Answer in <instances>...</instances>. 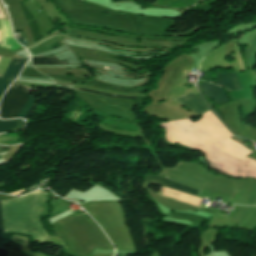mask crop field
Returning a JSON list of instances; mask_svg holds the SVG:
<instances>
[{"mask_svg":"<svg viewBox=\"0 0 256 256\" xmlns=\"http://www.w3.org/2000/svg\"><path fill=\"white\" fill-rule=\"evenodd\" d=\"M248 45L249 47L245 49V61L248 68H251L256 64V35Z\"/></svg>","mask_w":256,"mask_h":256,"instance_id":"8","label":"crop field"},{"mask_svg":"<svg viewBox=\"0 0 256 256\" xmlns=\"http://www.w3.org/2000/svg\"><path fill=\"white\" fill-rule=\"evenodd\" d=\"M216 72L217 78H215L217 85L223 86L229 90L242 89L235 72L221 73L218 70H216Z\"/></svg>","mask_w":256,"mask_h":256,"instance_id":"4","label":"crop field"},{"mask_svg":"<svg viewBox=\"0 0 256 256\" xmlns=\"http://www.w3.org/2000/svg\"><path fill=\"white\" fill-rule=\"evenodd\" d=\"M33 65H60L67 64L66 60L58 61L56 56L32 58Z\"/></svg>","mask_w":256,"mask_h":256,"instance_id":"9","label":"crop field"},{"mask_svg":"<svg viewBox=\"0 0 256 256\" xmlns=\"http://www.w3.org/2000/svg\"><path fill=\"white\" fill-rule=\"evenodd\" d=\"M16 62H18L19 64L15 65ZM26 62L27 60L13 58L5 74L2 78H0V97L3 95L6 88L11 84V82L20 74L22 66Z\"/></svg>","mask_w":256,"mask_h":256,"instance_id":"3","label":"crop field"},{"mask_svg":"<svg viewBox=\"0 0 256 256\" xmlns=\"http://www.w3.org/2000/svg\"><path fill=\"white\" fill-rule=\"evenodd\" d=\"M24 121L19 119L0 120V132L19 131L23 128Z\"/></svg>","mask_w":256,"mask_h":256,"instance_id":"7","label":"crop field"},{"mask_svg":"<svg viewBox=\"0 0 256 256\" xmlns=\"http://www.w3.org/2000/svg\"><path fill=\"white\" fill-rule=\"evenodd\" d=\"M0 16H1V18H4V16H3L1 10H0ZM1 33H2V32H0V36H1Z\"/></svg>","mask_w":256,"mask_h":256,"instance_id":"13","label":"crop field"},{"mask_svg":"<svg viewBox=\"0 0 256 256\" xmlns=\"http://www.w3.org/2000/svg\"><path fill=\"white\" fill-rule=\"evenodd\" d=\"M146 181L154 182V183L163 185L165 187L172 188V189H175L184 193H188L194 196H196V194L198 193V190L180 185L178 183H175L157 176H147Z\"/></svg>","mask_w":256,"mask_h":256,"instance_id":"5","label":"crop field"},{"mask_svg":"<svg viewBox=\"0 0 256 256\" xmlns=\"http://www.w3.org/2000/svg\"><path fill=\"white\" fill-rule=\"evenodd\" d=\"M199 86L219 105L230 101L225 91L212 84L203 83Z\"/></svg>","mask_w":256,"mask_h":256,"instance_id":"6","label":"crop field"},{"mask_svg":"<svg viewBox=\"0 0 256 256\" xmlns=\"http://www.w3.org/2000/svg\"><path fill=\"white\" fill-rule=\"evenodd\" d=\"M29 96L30 88L14 83L2 99L0 117L3 119L16 118ZM36 101L30 96L18 118L25 119Z\"/></svg>","mask_w":256,"mask_h":256,"instance_id":"2","label":"crop field"},{"mask_svg":"<svg viewBox=\"0 0 256 256\" xmlns=\"http://www.w3.org/2000/svg\"><path fill=\"white\" fill-rule=\"evenodd\" d=\"M45 192L35 191L10 201H2L5 232H20L33 238H47L37 219Z\"/></svg>","mask_w":256,"mask_h":256,"instance_id":"1","label":"crop field"},{"mask_svg":"<svg viewBox=\"0 0 256 256\" xmlns=\"http://www.w3.org/2000/svg\"><path fill=\"white\" fill-rule=\"evenodd\" d=\"M117 256H121V255H117Z\"/></svg>","mask_w":256,"mask_h":256,"instance_id":"14","label":"crop field"},{"mask_svg":"<svg viewBox=\"0 0 256 256\" xmlns=\"http://www.w3.org/2000/svg\"><path fill=\"white\" fill-rule=\"evenodd\" d=\"M10 243V234L3 233V220L1 213V201H0V247L7 248Z\"/></svg>","mask_w":256,"mask_h":256,"instance_id":"10","label":"crop field"},{"mask_svg":"<svg viewBox=\"0 0 256 256\" xmlns=\"http://www.w3.org/2000/svg\"><path fill=\"white\" fill-rule=\"evenodd\" d=\"M10 61H11V59L1 57V59H0V77H2V75Z\"/></svg>","mask_w":256,"mask_h":256,"instance_id":"12","label":"crop field"},{"mask_svg":"<svg viewBox=\"0 0 256 256\" xmlns=\"http://www.w3.org/2000/svg\"><path fill=\"white\" fill-rule=\"evenodd\" d=\"M76 89L81 90V91H85V92H89V93L101 94V95H105V96H109V97H115V98H127V99H136V97H129V96L114 95V94H108V93L96 92V91L87 90V89H79V88H76Z\"/></svg>","mask_w":256,"mask_h":256,"instance_id":"11","label":"crop field"}]
</instances>
